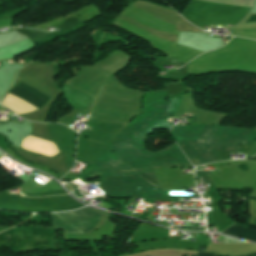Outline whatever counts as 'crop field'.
Wrapping results in <instances>:
<instances>
[{
	"mask_svg": "<svg viewBox=\"0 0 256 256\" xmlns=\"http://www.w3.org/2000/svg\"><path fill=\"white\" fill-rule=\"evenodd\" d=\"M54 229H64L65 233H88L103 218V215L88 207L69 212L52 214Z\"/></svg>",
	"mask_w": 256,
	"mask_h": 256,
	"instance_id": "1",
	"label": "crop field"
},
{
	"mask_svg": "<svg viewBox=\"0 0 256 256\" xmlns=\"http://www.w3.org/2000/svg\"><path fill=\"white\" fill-rule=\"evenodd\" d=\"M10 92L16 94L17 96L23 98L24 100H26L28 102H30L38 109L40 107H42L50 98V97L46 96L45 94H43L42 92H40L39 90H37L31 86L22 84V83L18 84L16 87H14L12 90H10Z\"/></svg>",
	"mask_w": 256,
	"mask_h": 256,
	"instance_id": "2",
	"label": "crop field"
},
{
	"mask_svg": "<svg viewBox=\"0 0 256 256\" xmlns=\"http://www.w3.org/2000/svg\"><path fill=\"white\" fill-rule=\"evenodd\" d=\"M221 233L242 237L247 240L256 242V231L247 229L239 224H233Z\"/></svg>",
	"mask_w": 256,
	"mask_h": 256,
	"instance_id": "3",
	"label": "crop field"
},
{
	"mask_svg": "<svg viewBox=\"0 0 256 256\" xmlns=\"http://www.w3.org/2000/svg\"><path fill=\"white\" fill-rule=\"evenodd\" d=\"M204 1H212V2H219V3L251 7L254 0H204Z\"/></svg>",
	"mask_w": 256,
	"mask_h": 256,
	"instance_id": "4",
	"label": "crop field"
},
{
	"mask_svg": "<svg viewBox=\"0 0 256 256\" xmlns=\"http://www.w3.org/2000/svg\"><path fill=\"white\" fill-rule=\"evenodd\" d=\"M194 256H216L215 253H204V252H199Z\"/></svg>",
	"mask_w": 256,
	"mask_h": 256,
	"instance_id": "5",
	"label": "crop field"
},
{
	"mask_svg": "<svg viewBox=\"0 0 256 256\" xmlns=\"http://www.w3.org/2000/svg\"><path fill=\"white\" fill-rule=\"evenodd\" d=\"M247 256V255H246Z\"/></svg>",
	"mask_w": 256,
	"mask_h": 256,
	"instance_id": "6",
	"label": "crop field"
}]
</instances>
